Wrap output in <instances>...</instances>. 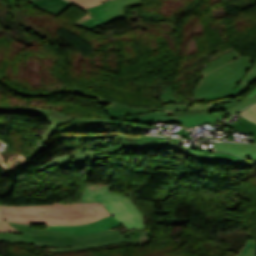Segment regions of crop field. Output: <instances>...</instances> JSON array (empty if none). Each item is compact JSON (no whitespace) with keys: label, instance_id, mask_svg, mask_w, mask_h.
<instances>
[{"label":"crop field","instance_id":"8","mask_svg":"<svg viewBox=\"0 0 256 256\" xmlns=\"http://www.w3.org/2000/svg\"><path fill=\"white\" fill-rule=\"evenodd\" d=\"M120 144L117 148L142 152L148 149L158 150L160 146L174 149L178 143L177 139H163L156 137H138L129 138L125 136H118Z\"/></svg>","mask_w":256,"mask_h":256},{"label":"crop field","instance_id":"26","mask_svg":"<svg viewBox=\"0 0 256 256\" xmlns=\"http://www.w3.org/2000/svg\"><path fill=\"white\" fill-rule=\"evenodd\" d=\"M76 4L77 6L85 9L101 4L107 0H68Z\"/></svg>","mask_w":256,"mask_h":256},{"label":"crop field","instance_id":"2","mask_svg":"<svg viewBox=\"0 0 256 256\" xmlns=\"http://www.w3.org/2000/svg\"><path fill=\"white\" fill-rule=\"evenodd\" d=\"M255 62L256 59L240 55L234 50L214 59L196 78L204 77L195 89L194 98L199 101L212 95L231 92Z\"/></svg>","mask_w":256,"mask_h":256},{"label":"crop field","instance_id":"16","mask_svg":"<svg viewBox=\"0 0 256 256\" xmlns=\"http://www.w3.org/2000/svg\"><path fill=\"white\" fill-rule=\"evenodd\" d=\"M74 117L63 115L60 113H53L50 117L47 118L48 122L52 125L46 129V131L41 135L42 144H46L49 138L52 136L53 132L62 125H65L69 122H72Z\"/></svg>","mask_w":256,"mask_h":256},{"label":"crop field","instance_id":"3","mask_svg":"<svg viewBox=\"0 0 256 256\" xmlns=\"http://www.w3.org/2000/svg\"><path fill=\"white\" fill-rule=\"evenodd\" d=\"M209 111L220 110L203 103H195L189 108L147 112L140 115H133L114 120L148 125H150L153 120H163L168 121V123L181 121L187 128H192L201 124H211L213 121L216 122L218 116L207 115Z\"/></svg>","mask_w":256,"mask_h":256},{"label":"crop field","instance_id":"36","mask_svg":"<svg viewBox=\"0 0 256 256\" xmlns=\"http://www.w3.org/2000/svg\"><path fill=\"white\" fill-rule=\"evenodd\" d=\"M243 256H256V251H247Z\"/></svg>","mask_w":256,"mask_h":256},{"label":"crop field","instance_id":"4","mask_svg":"<svg viewBox=\"0 0 256 256\" xmlns=\"http://www.w3.org/2000/svg\"><path fill=\"white\" fill-rule=\"evenodd\" d=\"M142 2L141 0H112L99 6L86 9L88 15L81 17L74 24L93 30L114 20L123 18L124 6Z\"/></svg>","mask_w":256,"mask_h":256},{"label":"crop field","instance_id":"15","mask_svg":"<svg viewBox=\"0 0 256 256\" xmlns=\"http://www.w3.org/2000/svg\"><path fill=\"white\" fill-rule=\"evenodd\" d=\"M120 223L124 224L127 229L144 228L143 215L136 207L113 215Z\"/></svg>","mask_w":256,"mask_h":256},{"label":"crop field","instance_id":"14","mask_svg":"<svg viewBox=\"0 0 256 256\" xmlns=\"http://www.w3.org/2000/svg\"><path fill=\"white\" fill-rule=\"evenodd\" d=\"M215 150L230 152L256 161V145L216 142Z\"/></svg>","mask_w":256,"mask_h":256},{"label":"crop field","instance_id":"9","mask_svg":"<svg viewBox=\"0 0 256 256\" xmlns=\"http://www.w3.org/2000/svg\"><path fill=\"white\" fill-rule=\"evenodd\" d=\"M108 156L94 152L75 151L52 161L60 169L70 168L71 164H102L105 165Z\"/></svg>","mask_w":256,"mask_h":256},{"label":"crop field","instance_id":"5","mask_svg":"<svg viewBox=\"0 0 256 256\" xmlns=\"http://www.w3.org/2000/svg\"><path fill=\"white\" fill-rule=\"evenodd\" d=\"M108 189L109 186L86 185L81 202L101 201L111 214L134 207L130 198L114 194Z\"/></svg>","mask_w":256,"mask_h":256},{"label":"crop field","instance_id":"1","mask_svg":"<svg viewBox=\"0 0 256 256\" xmlns=\"http://www.w3.org/2000/svg\"><path fill=\"white\" fill-rule=\"evenodd\" d=\"M1 207L6 221L35 225H77L111 215L100 202L22 207L1 205Z\"/></svg>","mask_w":256,"mask_h":256},{"label":"crop field","instance_id":"23","mask_svg":"<svg viewBox=\"0 0 256 256\" xmlns=\"http://www.w3.org/2000/svg\"><path fill=\"white\" fill-rule=\"evenodd\" d=\"M32 235L18 233H0V242H21L31 244Z\"/></svg>","mask_w":256,"mask_h":256},{"label":"crop field","instance_id":"39","mask_svg":"<svg viewBox=\"0 0 256 256\" xmlns=\"http://www.w3.org/2000/svg\"><path fill=\"white\" fill-rule=\"evenodd\" d=\"M0 220H3V217H2L1 211H0Z\"/></svg>","mask_w":256,"mask_h":256},{"label":"crop field","instance_id":"32","mask_svg":"<svg viewBox=\"0 0 256 256\" xmlns=\"http://www.w3.org/2000/svg\"><path fill=\"white\" fill-rule=\"evenodd\" d=\"M97 136H101L100 141L108 143L114 136L107 135H95V136H75L76 138L95 139Z\"/></svg>","mask_w":256,"mask_h":256},{"label":"crop field","instance_id":"29","mask_svg":"<svg viewBox=\"0 0 256 256\" xmlns=\"http://www.w3.org/2000/svg\"><path fill=\"white\" fill-rule=\"evenodd\" d=\"M247 250H256V240L251 239L248 240L245 244L244 248L242 249L241 253L238 256H242Z\"/></svg>","mask_w":256,"mask_h":256},{"label":"crop field","instance_id":"11","mask_svg":"<svg viewBox=\"0 0 256 256\" xmlns=\"http://www.w3.org/2000/svg\"><path fill=\"white\" fill-rule=\"evenodd\" d=\"M86 96L95 98L99 103L103 105L104 110L110 116V118L124 117L132 114H140L147 111H157L164 109H155V110H140L132 107H128L122 104L111 102L107 99L98 97L97 95L87 94Z\"/></svg>","mask_w":256,"mask_h":256},{"label":"crop field","instance_id":"6","mask_svg":"<svg viewBox=\"0 0 256 256\" xmlns=\"http://www.w3.org/2000/svg\"><path fill=\"white\" fill-rule=\"evenodd\" d=\"M120 238L119 230L103 231L96 234L79 236V237H51L33 235V240L39 242L43 246L50 247H68L87 243L103 242Z\"/></svg>","mask_w":256,"mask_h":256},{"label":"crop field","instance_id":"7","mask_svg":"<svg viewBox=\"0 0 256 256\" xmlns=\"http://www.w3.org/2000/svg\"><path fill=\"white\" fill-rule=\"evenodd\" d=\"M151 126H104V125H85V124H68L60 127L59 130L64 133L73 134H91V133H114L121 132L128 135H138L144 128ZM153 128V127H152Z\"/></svg>","mask_w":256,"mask_h":256},{"label":"crop field","instance_id":"21","mask_svg":"<svg viewBox=\"0 0 256 256\" xmlns=\"http://www.w3.org/2000/svg\"><path fill=\"white\" fill-rule=\"evenodd\" d=\"M45 229L54 230V231L74 230L75 236L103 231L101 229H93V228H86V227H80V226H50V227H46Z\"/></svg>","mask_w":256,"mask_h":256},{"label":"crop field","instance_id":"22","mask_svg":"<svg viewBox=\"0 0 256 256\" xmlns=\"http://www.w3.org/2000/svg\"><path fill=\"white\" fill-rule=\"evenodd\" d=\"M225 126L256 137V125L249 122L248 120H246L243 117L241 118V120L236 125L231 124V123H227V124H225Z\"/></svg>","mask_w":256,"mask_h":256},{"label":"crop field","instance_id":"24","mask_svg":"<svg viewBox=\"0 0 256 256\" xmlns=\"http://www.w3.org/2000/svg\"><path fill=\"white\" fill-rule=\"evenodd\" d=\"M118 225H120V223L114 217L110 216V217L102 219L98 222H94V223H90V224H86V225H80V226L110 229V228L116 227Z\"/></svg>","mask_w":256,"mask_h":256},{"label":"crop field","instance_id":"13","mask_svg":"<svg viewBox=\"0 0 256 256\" xmlns=\"http://www.w3.org/2000/svg\"><path fill=\"white\" fill-rule=\"evenodd\" d=\"M191 150H193L195 152L196 156H199V157L215 159V160L234 163V164L256 166V163L250 162L241 157H238V156H235L232 154H226V153H219V152L214 153V152L202 149V148L198 147L197 145L194 146Z\"/></svg>","mask_w":256,"mask_h":256},{"label":"crop field","instance_id":"31","mask_svg":"<svg viewBox=\"0 0 256 256\" xmlns=\"http://www.w3.org/2000/svg\"><path fill=\"white\" fill-rule=\"evenodd\" d=\"M0 232H18V231L9 223L0 221Z\"/></svg>","mask_w":256,"mask_h":256},{"label":"crop field","instance_id":"38","mask_svg":"<svg viewBox=\"0 0 256 256\" xmlns=\"http://www.w3.org/2000/svg\"><path fill=\"white\" fill-rule=\"evenodd\" d=\"M32 244L40 245L39 243H37L35 241H33ZM40 246H42V245H40Z\"/></svg>","mask_w":256,"mask_h":256},{"label":"crop field","instance_id":"17","mask_svg":"<svg viewBox=\"0 0 256 256\" xmlns=\"http://www.w3.org/2000/svg\"><path fill=\"white\" fill-rule=\"evenodd\" d=\"M31 3L55 16L62 13L71 4L65 0H38Z\"/></svg>","mask_w":256,"mask_h":256},{"label":"crop field","instance_id":"18","mask_svg":"<svg viewBox=\"0 0 256 256\" xmlns=\"http://www.w3.org/2000/svg\"><path fill=\"white\" fill-rule=\"evenodd\" d=\"M255 79H256V63L253 65L252 69L248 72V74L241 81L239 86L236 89H234L231 93H229L227 95H223V96H212V97L206 98V99H204L202 101H206L207 102V101L212 100V99H217V98H221V97H225V96H229V95L238 96L242 92L247 90L248 87L251 85V83Z\"/></svg>","mask_w":256,"mask_h":256},{"label":"crop field","instance_id":"27","mask_svg":"<svg viewBox=\"0 0 256 256\" xmlns=\"http://www.w3.org/2000/svg\"><path fill=\"white\" fill-rule=\"evenodd\" d=\"M256 102V96L252 97L250 99L247 100H243L241 102H239L237 105L233 106L232 108L226 110V112L230 113V114H235L237 111L241 110L242 108H244L245 106L255 103ZM231 115V116H232Z\"/></svg>","mask_w":256,"mask_h":256},{"label":"crop field","instance_id":"19","mask_svg":"<svg viewBox=\"0 0 256 256\" xmlns=\"http://www.w3.org/2000/svg\"><path fill=\"white\" fill-rule=\"evenodd\" d=\"M10 224L13 225L21 233L39 234V235H52V236H74L73 231L54 232V231H47V230L32 229V228H30V226H26V225H16V224H13V223H10Z\"/></svg>","mask_w":256,"mask_h":256},{"label":"crop field","instance_id":"33","mask_svg":"<svg viewBox=\"0 0 256 256\" xmlns=\"http://www.w3.org/2000/svg\"><path fill=\"white\" fill-rule=\"evenodd\" d=\"M176 148H180V149H183V150H186V151H189V152H192L191 150H188V149H185L183 147H180V146H176ZM193 153V152H192ZM193 157L198 160V161H202V162H205V163H224V162H219V161H215V160H209V159H204V158H199V157H196L195 154H193ZM228 164V163H227ZM233 165V164H231Z\"/></svg>","mask_w":256,"mask_h":256},{"label":"crop field","instance_id":"35","mask_svg":"<svg viewBox=\"0 0 256 256\" xmlns=\"http://www.w3.org/2000/svg\"><path fill=\"white\" fill-rule=\"evenodd\" d=\"M190 130H191V129H187V130L182 129V130H180L177 134H179L180 136H182V137H184V138L187 137L188 139H193L192 137H190V136L187 135Z\"/></svg>","mask_w":256,"mask_h":256},{"label":"crop field","instance_id":"37","mask_svg":"<svg viewBox=\"0 0 256 256\" xmlns=\"http://www.w3.org/2000/svg\"><path fill=\"white\" fill-rule=\"evenodd\" d=\"M74 88V90H75V93H77V94H81V95H85L86 93H80L82 90H80V89H77V88H75V87H73Z\"/></svg>","mask_w":256,"mask_h":256},{"label":"crop field","instance_id":"28","mask_svg":"<svg viewBox=\"0 0 256 256\" xmlns=\"http://www.w3.org/2000/svg\"><path fill=\"white\" fill-rule=\"evenodd\" d=\"M239 115L256 123V104L249 106L248 108L240 112Z\"/></svg>","mask_w":256,"mask_h":256},{"label":"crop field","instance_id":"34","mask_svg":"<svg viewBox=\"0 0 256 256\" xmlns=\"http://www.w3.org/2000/svg\"><path fill=\"white\" fill-rule=\"evenodd\" d=\"M0 82L3 83L6 87H8L9 89H11L12 91H14L17 94H20V95H23V96H26V97L31 96L30 94H26L24 92H20L18 89H16V88L12 87L11 85L7 84L1 78H0Z\"/></svg>","mask_w":256,"mask_h":256},{"label":"crop field","instance_id":"10","mask_svg":"<svg viewBox=\"0 0 256 256\" xmlns=\"http://www.w3.org/2000/svg\"><path fill=\"white\" fill-rule=\"evenodd\" d=\"M156 93L162 104L172 101L176 102L174 105L167 106L164 109L188 107L193 104L187 102L181 97L173 82L168 86L167 83L159 79L157 82Z\"/></svg>","mask_w":256,"mask_h":256},{"label":"crop field","instance_id":"12","mask_svg":"<svg viewBox=\"0 0 256 256\" xmlns=\"http://www.w3.org/2000/svg\"><path fill=\"white\" fill-rule=\"evenodd\" d=\"M130 237V238H129ZM129 238V239H127ZM123 241H128L131 243L138 244L140 242V237L138 235L137 230H130L124 234L121 235V239L103 242V243H96V244H87V245H81V246H75V247H69V248H49L50 252H67V251H75V250H81L86 248H92V247H99V246H106L111 245Z\"/></svg>","mask_w":256,"mask_h":256},{"label":"crop field","instance_id":"25","mask_svg":"<svg viewBox=\"0 0 256 256\" xmlns=\"http://www.w3.org/2000/svg\"><path fill=\"white\" fill-rule=\"evenodd\" d=\"M72 123L105 124V125H135V124L118 123V122H111L109 120L92 119V118H75Z\"/></svg>","mask_w":256,"mask_h":256},{"label":"crop field","instance_id":"30","mask_svg":"<svg viewBox=\"0 0 256 256\" xmlns=\"http://www.w3.org/2000/svg\"><path fill=\"white\" fill-rule=\"evenodd\" d=\"M256 95V87L250 92L248 93L244 99L250 98L252 96ZM241 101V100H240ZM239 101L237 102H233V103H229V104H225V105H221V106H217L218 108L222 109V110H226L230 107H232L233 105L237 104Z\"/></svg>","mask_w":256,"mask_h":256},{"label":"crop field","instance_id":"20","mask_svg":"<svg viewBox=\"0 0 256 256\" xmlns=\"http://www.w3.org/2000/svg\"><path fill=\"white\" fill-rule=\"evenodd\" d=\"M3 112H19L26 114H34L43 117L44 119L50 116L53 112L49 110H39L33 108H22V107H0V113Z\"/></svg>","mask_w":256,"mask_h":256}]
</instances>
